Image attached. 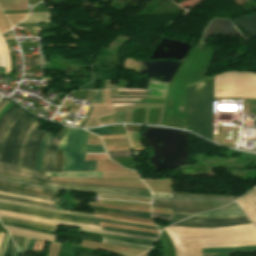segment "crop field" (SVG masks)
I'll return each instance as SVG.
<instances>
[{
  "instance_id": "8a807250",
  "label": "crop field",
  "mask_w": 256,
  "mask_h": 256,
  "mask_svg": "<svg viewBox=\"0 0 256 256\" xmlns=\"http://www.w3.org/2000/svg\"><path fill=\"white\" fill-rule=\"evenodd\" d=\"M173 242L176 256H201V248L256 245V227L253 224L220 228L165 229Z\"/></svg>"
},
{
  "instance_id": "ac0d7876",
  "label": "crop field",
  "mask_w": 256,
  "mask_h": 256,
  "mask_svg": "<svg viewBox=\"0 0 256 256\" xmlns=\"http://www.w3.org/2000/svg\"><path fill=\"white\" fill-rule=\"evenodd\" d=\"M214 76L187 86V126L212 141Z\"/></svg>"
},
{
  "instance_id": "34b2d1b8",
  "label": "crop field",
  "mask_w": 256,
  "mask_h": 256,
  "mask_svg": "<svg viewBox=\"0 0 256 256\" xmlns=\"http://www.w3.org/2000/svg\"><path fill=\"white\" fill-rule=\"evenodd\" d=\"M88 132L68 128L58 149L64 156L63 171H96V161H84L85 152H105L102 146L86 145Z\"/></svg>"
},
{
  "instance_id": "412701ff",
  "label": "crop field",
  "mask_w": 256,
  "mask_h": 256,
  "mask_svg": "<svg viewBox=\"0 0 256 256\" xmlns=\"http://www.w3.org/2000/svg\"><path fill=\"white\" fill-rule=\"evenodd\" d=\"M236 199L235 197L227 196L173 193L172 199H169L172 202L153 200V203L171 205L173 213L194 215L224 207Z\"/></svg>"
},
{
  "instance_id": "f4fd0767",
  "label": "crop field",
  "mask_w": 256,
  "mask_h": 256,
  "mask_svg": "<svg viewBox=\"0 0 256 256\" xmlns=\"http://www.w3.org/2000/svg\"><path fill=\"white\" fill-rule=\"evenodd\" d=\"M30 119L31 118L23 112L11 125L2 147L0 156L1 163L12 164L19 136Z\"/></svg>"
},
{
  "instance_id": "dd49c442",
  "label": "crop field",
  "mask_w": 256,
  "mask_h": 256,
  "mask_svg": "<svg viewBox=\"0 0 256 256\" xmlns=\"http://www.w3.org/2000/svg\"><path fill=\"white\" fill-rule=\"evenodd\" d=\"M0 216L8 217V218H14V219H20V220H24V221H29V222L49 226V227H56L58 223H61V224H66V225H71V226H81L80 230H82V231H89V232L102 233V234L120 235V236H126V237H133V238H140V239L156 241V239H154V238H148V237H141V236H134V235L104 231V230H102V227L48 220V219L37 218V217L17 214V213L8 212V211H1L0 210Z\"/></svg>"
},
{
  "instance_id": "e52e79f7",
  "label": "crop field",
  "mask_w": 256,
  "mask_h": 256,
  "mask_svg": "<svg viewBox=\"0 0 256 256\" xmlns=\"http://www.w3.org/2000/svg\"><path fill=\"white\" fill-rule=\"evenodd\" d=\"M249 223L251 222L247 219V217L225 219V220L190 217L173 226L189 227V228H219V227L235 226V225H242V224H249Z\"/></svg>"
},
{
  "instance_id": "d8731c3e",
  "label": "crop field",
  "mask_w": 256,
  "mask_h": 256,
  "mask_svg": "<svg viewBox=\"0 0 256 256\" xmlns=\"http://www.w3.org/2000/svg\"><path fill=\"white\" fill-rule=\"evenodd\" d=\"M39 127L40 125L38 123L28 139L21 167L31 168L33 170L35 168L40 142L46 133L45 131L40 130Z\"/></svg>"
},
{
  "instance_id": "5a996713",
  "label": "crop field",
  "mask_w": 256,
  "mask_h": 256,
  "mask_svg": "<svg viewBox=\"0 0 256 256\" xmlns=\"http://www.w3.org/2000/svg\"><path fill=\"white\" fill-rule=\"evenodd\" d=\"M0 175L1 176H7V177L24 179V180H28V181H32V182H36V183H42V184H47V185L57 186V187H65V188H73V189H84V190L111 191V192H121V193H128V194H137V195L151 196L149 191H137V190H127V189H114V188H95V187H85V186H78V185L46 183V182L39 181V180L23 178V177L9 175V174H5V173H0Z\"/></svg>"
},
{
  "instance_id": "3316defc",
  "label": "crop field",
  "mask_w": 256,
  "mask_h": 256,
  "mask_svg": "<svg viewBox=\"0 0 256 256\" xmlns=\"http://www.w3.org/2000/svg\"><path fill=\"white\" fill-rule=\"evenodd\" d=\"M0 205L9 206V207H15V208H19V209H23V210H28V211H33V212H38V213H42V214L60 216V217H65V218H73V219H82V220H91V221L107 222V223H113V224H119V225H125V226H133V227H140V228H147V229H155V230H158L157 228L146 227V226H140V225H135V224L123 223V222H117V221H112V220H107V219H101V218H88V217H81V216L68 215V214H61V213L45 212V211H40V210H36V209H31V208H26V207H21V206L6 204V203H0Z\"/></svg>"
},
{
  "instance_id": "28ad6ade",
  "label": "crop field",
  "mask_w": 256,
  "mask_h": 256,
  "mask_svg": "<svg viewBox=\"0 0 256 256\" xmlns=\"http://www.w3.org/2000/svg\"><path fill=\"white\" fill-rule=\"evenodd\" d=\"M236 203L256 225V190L254 189L247 195L241 197Z\"/></svg>"
},
{
  "instance_id": "d1516ede",
  "label": "crop field",
  "mask_w": 256,
  "mask_h": 256,
  "mask_svg": "<svg viewBox=\"0 0 256 256\" xmlns=\"http://www.w3.org/2000/svg\"><path fill=\"white\" fill-rule=\"evenodd\" d=\"M198 217H207V218H233V217H242L245 216L243 212L238 208V206L233 203L225 208H222L220 210L198 214L196 215Z\"/></svg>"
},
{
  "instance_id": "22f410ed",
  "label": "crop field",
  "mask_w": 256,
  "mask_h": 256,
  "mask_svg": "<svg viewBox=\"0 0 256 256\" xmlns=\"http://www.w3.org/2000/svg\"><path fill=\"white\" fill-rule=\"evenodd\" d=\"M5 227L10 233H13V234L23 235V236H28V237H33V238H38V239H43L48 241L54 240L53 235L40 233V232L27 230V229H22V228H17V227H10V226H5Z\"/></svg>"
},
{
  "instance_id": "cbeb9de0",
  "label": "crop field",
  "mask_w": 256,
  "mask_h": 256,
  "mask_svg": "<svg viewBox=\"0 0 256 256\" xmlns=\"http://www.w3.org/2000/svg\"><path fill=\"white\" fill-rule=\"evenodd\" d=\"M0 209L1 210H9V211L17 212V213L29 214V215L38 216V217L50 218V219H54V220L69 221V222H76V223H83V224L98 225V226H100V224L96 223V222L65 219V218H60V217H54V216H48V215H42V214H37V213H33V212L18 210V209L9 208V207L0 206Z\"/></svg>"
},
{
  "instance_id": "5142ce71",
  "label": "crop field",
  "mask_w": 256,
  "mask_h": 256,
  "mask_svg": "<svg viewBox=\"0 0 256 256\" xmlns=\"http://www.w3.org/2000/svg\"><path fill=\"white\" fill-rule=\"evenodd\" d=\"M0 66L5 68V73H10L11 59L3 35L0 36Z\"/></svg>"
},
{
  "instance_id": "d9b57169",
  "label": "crop field",
  "mask_w": 256,
  "mask_h": 256,
  "mask_svg": "<svg viewBox=\"0 0 256 256\" xmlns=\"http://www.w3.org/2000/svg\"><path fill=\"white\" fill-rule=\"evenodd\" d=\"M1 172L5 173H10V174H15L19 176H24V177H29V178H36L39 180L46 179L47 182H58V181H51L50 177H41V176H36V175H31V174H25V173H20V172H15V171H9V170H3L0 169ZM58 183H68V184H78V185H87V186H97V187H113V186H99V185H88V184H80V183H70V182H58ZM114 188H127V187H114ZM128 189H141V188H128ZM142 190H148V189H142Z\"/></svg>"
},
{
  "instance_id": "733c2abd",
  "label": "crop field",
  "mask_w": 256,
  "mask_h": 256,
  "mask_svg": "<svg viewBox=\"0 0 256 256\" xmlns=\"http://www.w3.org/2000/svg\"><path fill=\"white\" fill-rule=\"evenodd\" d=\"M60 138H61V136L56 135V137L54 138V140L52 141V143L49 147L48 159H47V165H46L45 171H53L55 155H56V150H57V144H58Z\"/></svg>"
},
{
  "instance_id": "4a817a6b",
  "label": "crop field",
  "mask_w": 256,
  "mask_h": 256,
  "mask_svg": "<svg viewBox=\"0 0 256 256\" xmlns=\"http://www.w3.org/2000/svg\"><path fill=\"white\" fill-rule=\"evenodd\" d=\"M0 202H6V203H11V204L26 206V207H31V208L45 210V211L61 212V213L84 215V216H92V217L96 216V215H93V214L74 212V211H67V210H59V209H51V208H44V207H40V206H36V205H32V204H26V203H20V202H12V201H6V200H1V199H0Z\"/></svg>"
},
{
  "instance_id": "bc2a9ffb",
  "label": "crop field",
  "mask_w": 256,
  "mask_h": 256,
  "mask_svg": "<svg viewBox=\"0 0 256 256\" xmlns=\"http://www.w3.org/2000/svg\"><path fill=\"white\" fill-rule=\"evenodd\" d=\"M90 209L104 210V211H108V212L119 213V214L129 215V216H133V217L151 219V213L121 211V210H113V209H109V208H98V207H90Z\"/></svg>"
},
{
  "instance_id": "214f88e0",
  "label": "crop field",
  "mask_w": 256,
  "mask_h": 256,
  "mask_svg": "<svg viewBox=\"0 0 256 256\" xmlns=\"http://www.w3.org/2000/svg\"><path fill=\"white\" fill-rule=\"evenodd\" d=\"M30 22H49V14L48 13L29 14L27 19L22 23H30Z\"/></svg>"
},
{
  "instance_id": "92a150f3",
  "label": "crop field",
  "mask_w": 256,
  "mask_h": 256,
  "mask_svg": "<svg viewBox=\"0 0 256 256\" xmlns=\"http://www.w3.org/2000/svg\"><path fill=\"white\" fill-rule=\"evenodd\" d=\"M100 235L102 237L108 238V239L129 241V242H133V243H137V244H143V245H149V246H153V244H154V242H152V241H145V240H139V239L125 238V237H117V236H110V235H102V234H100Z\"/></svg>"
},
{
  "instance_id": "dafd665d",
  "label": "crop field",
  "mask_w": 256,
  "mask_h": 256,
  "mask_svg": "<svg viewBox=\"0 0 256 256\" xmlns=\"http://www.w3.org/2000/svg\"><path fill=\"white\" fill-rule=\"evenodd\" d=\"M102 243L123 245V246L132 247V248H140V249H146V250H149L151 248L149 246L137 245V244H133V243H129V242L111 241V240H104V239H103Z\"/></svg>"
},
{
  "instance_id": "00972430",
  "label": "crop field",
  "mask_w": 256,
  "mask_h": 256,
  "mask_svg": "<svg viewBox=\"0 0 256 256\" xmlns=\"http://www.w3.org/2000/svg\"><path fill=\"white\" fill-rule=\"evenodd\" d=\"M103 229L111 230V231H116V232H123V233H130V234L154 237V238H157V236H158L156 234L145 233V232H140V231H133V230L115 229V228H107V227H103Z\"/></svg>"
},
{
  "instance_id": "a9b5d70f",
  "label": "crop field",
  "mask_w": 256,
  "mask_h": 256,
  "mask_svg": "<svg viewBox=\"0 0 256 256\" xmlns=\"http://www.w3.org/2000/svg\"><path fill=\"white\" fill-rule=\"evenodd\" d=\"M0 183L8 184V185H14V186H19V187H24V188H29V189H34V190H39V191H44V192H49V193H54V194H58L59 193L57 191L46 190V189L39 188V187H33V186H28V185H23V184L3 181V180H0Z\"/></svg>"
},
{
  "instance_id": "4177f3b9",
  "label": "crop field",
  "mask_w": 256,
  "mask_h": 256,
  "mask_svg": "<svg viewBox=\"0 0 256 256\" xmlns=\"http://www.w3.org/2000/svg\"><path fill=\"white\" fill-rule=\"evenodd\" d=\"M23 111L20 109L18 110L13 116L12 118L7 122L3 132H2V135H1V138H0V151H1V147H2V144H3V140H4V136L6 134V132L8 131L10 125L13 123V121L16 119V117L22 113Z\"/></svg>"
},
{
  "instance_id": "730fd06b",
  "label": "crop field",
  "mask_w": 256,
  "mask_h": 256,
  "mask_svg": "<svg viewBox=\"0 0 256 256\" xmlns=\"http://www.w3.org/2000/svg\"><path fill=\"white\" fill-rule=\"evenodd\" d=\"M0 190L18 193V194L27 195V196H32V197L41 198V199H47V200H53V201L58 200L57 198H54V197L42 196V195H37V194H32V193H27V192L13 191V190H8V189H4V188H0Z\"/></svg>"
},
{
  "instance_id": "eef30255",
  "label": "crop field",
  "mask_w": 256,
  "mask_h": 256,
  "mask_svg": "<svg viewBox=\"0 0 256 256\" xmlns=\"http://www.w3.org/2000/svg\"><path fill=\"white\" fill-rule=\"evenodd\" d=\"M0 219L4 220V221H10V222H15V223H20V224L28 225V226H32V227H36V228H40V229H44V230H52V231H56L57 230V229H54V228H49V227H45V226H41V225L29 223V222L16 221V220L2 218V217H0Z\"/></svg>"
},
{
  "instance_id": "ae1a2a85",
  "label": "crop field",
  "mask_w": 256,
  "mask_h": 256,
  "mask_svg": "<svg viewBox=\"0 0 256 256\" xmlns=\"http://www.w3.org/2000/svg\"><path fill=\"white\" fill-rule=\"evenodd\" d=\"M34 121H35V118H33V119L27 124L25 130H24L23 133L21 134V138H20V140H19V142H18V146H17V150H16V155H15L14 162H13L12 165H15V166H16V164H17V158H18V154H19V150H20V146H21V142H22V140H23V138H24V135H25L27 129L33 124Z\"/></svg>"
},
{
  "instance_id": "d3111659",
  "label": "crop field",
  "mask_w": 256,
  "mask_h": 256,
  "mask_svg": "<svg viewBox=\"0 0 256 256\" xmlns=\"http://www.w3.org/2000/svg\"><path fill=\"white\" fill-rule=\"evenodd\" d=\"M0 168L9 169V170H15V171H20V172H25V173H31V174H37V175H43L42 172H36V171L27 170V169H22V168L13 167V166H8V165H4V164H0Z\"/></svg>"
},
{
  "instance_id": "750c4746",
  "label": "crop field",
  "mask_w": 256,
  "mask_h": 256,
  "mask_svg": "<svg viewBox=\"0 0 256 256\" xmlns=\"http://www.w3.org/2000/svg\"><path fill=\"white\" fill-rule=\"evenodd\" d=\"M36 124H37V121H35L34 124L28 129V131H27V133H26V136H25V138H24V140H23V142H22L21 151H20V156H19V160H18V164H17V166H19V167H20V165H21L22 154H23V150H24L26 141H27V139H28L29 134L31 133V131L33 130V128L36 126Z\"/></svg>"
},
{
  "instance_id": "bd1437ed",
  "label": "crop field",
  "mask_w": 256,
  "mask_h": 256,
  "mask_svg": "<svg viewBox=\"0 0 256 256\" xmlns=\"http://www.w3.org/2000/svg\"><path fill=\"white\" fill-rule=\"evenodd\" d=\"M0 195L25 198V199H30V200H35V201H40V202H45V203H50V204L55 203L53 201L41 200V199H36V198H31V197H27V196H22V195H17V194H13V193H7V192H1V191H0Z\"/></svg>"
},
{
  "instance_id": "1d83c4d3",
  "label": "crop field",
  "mask_w": 256,
  "mask_h": 256,
  "mask_svg": "<svg viewBox=\"0 0 256 256\" xmlns=\"http://www.w3.org/2000/svg\"><path fill=\"white\" fill-rule=\"evenodd\" d=\"M0 198L1 199H6V200H13V201H20V202L37 204V205H43V206H48V207H53V208L56 207V206H52V205H48V204L38 203V202L29 201V200H25V199H19V198H11V197H5V196H0Z\"/></svg>"
},
{
  "instance_id": "120bbe31",
  "label": "crop field",
  "mask_w": 256,
  "mask_h": 256,
  "mask_svg": "<svg viewBox=\"0 0 256 256\" xmlns=\"http://www.w3.org/2000/svg\"><path fill=\"white\" fill-rule=\"evenodd\" d=\"M110 158L132 156L131 151L107 152Z\"/></svg>"
},
{
  "instance_id": "d32e631a",
  "label": "crop field",
  "mask_w": 256,
  "mask_h": 256,
  "mask_svg": "<svg viewBox=\"0 0 256 256\" xmlns=\"http://www.w3.org/2000/svg\"><path fill=\"white\" fill-rule=\"evenodd\" d=\"M89 131L97 134V135H106V134H112L110 126L100 128V129H90Z\"/></svg>"
},
{
  "instance_id": "5866460e",
  "label": "crop field",
  "mask_w": 256,
  "mask_h": 256,
  "mask_svg": "<svg viewBox=\"0 0 256 256\" xmlns=\"http://www.w3.org/2000/svg\"><path fill=\"white\" fill-rule=\"evenodd\" d=\"M1 222H2L3 224H5V225L17 226V227L32 229V230L41 231V232H45V233H50V234L56 235V232L44 231V230H40V229H36V228H32V227H28V226H24V225H20V224H15V223H9V222H4V221H1Z\"/></svg>"
},
{
  "instance_id": "028f5c9d",
  "label": "crop field",
  "mask_w": 256,
  "mask_h": 256,
  "mask_svg": "<svg viewBox=\"0 0 256 256\" xmlns=\"http://www.w3.org/2000/svg\"><path fill=\"white\" fill-rule=\"evenodd\" d=\"M49 135H50V134L46 133V135L44 136V138H43V140H42L35 170H39V167H40V160H41V154H42V151H43V147H44L45 141H46V139H47V137H48Z\"/></svg>"
},
{
  "instance_id": "e1f06a70",
  "label": "crop field",
  "mask_w": 256,
  "mask_h": 256,
  "mask_svg": "<svg viewBox=\"0 0 256 256\" xmlns=\"http://www.w3.org/2000/svg\"><path fill=\"white\" fill-rule=\"evenodd\" d=\"M25 66H38L41 65L40 58L24 59Z\"/></svg>"
},
{
  "instance_id": "0bd39190",
  "label": "crop field",
  "mask_w": 256,
  "mask_h": 256,
  "mask_svg": "<svg viewBox=\"0 0 256 256\" xmlns=\"http://www.w3.org/2000/svg\"><path fill=\"white\" fill-rule=\"evenodd\" d=\"M189 217L188 215H179V214H173L171 221L169 222V225L176 223L180 220H183L185 218Z\"/></svg>"
},
{
  "instance_id": "b80d0937",
  "label": "crop field",
  "mask_w": 256,
  "mask_h": 256,
  "mask_svg": "<svg viewBox=\"0 0 256 256\" xmlns=\"http://www.w3.org/2000/svg\"><path fill=\"white\" fill-rule=\"evenodd\" d=\"M172 215L153 213V219L169 221Z\"/></svg>"
},
{
  "instance_id": "c035e120",
  "label": "crop field",
  "mask_w": 256,
  "mask_h": 256,
  "mask_svg": "<svg viewBox=\"0 0 256 256\" xmlns=\"http://www.w3.org/2000/svg\"><path fill=\"white\" fill-rule=\"evenodd\" d=\"M3 178H7V177H3ZM7 179L23 181V180L13 179V178H7ZM23 182H28V181H23ZM28 183H32V182H28ZM33 184H35V183H33ZM37 185H40V184H37ZM41 186H45V185H41ZM45 187H49V186H45ZM51 188H56V187H51ZM61 189H64V188H61ZM66 190H73V189H66ZM79 191H82V190H79ZM87 192H97V191H87ZM99 193L121 194V193H111V192H99ZM125 195H128V194H125Z\"/></svg>"
},
{
  "instance_id": "c21b1889",
  "label": "crop field",
  "mask_w": 256,
  "mask_h": 256,
  "mask_svg": "<svg viewBox=\"0 0 256 256\" xmlns=\"http://www.w3.org/2000/svg\"><path fill=\"white\" fill-rule=\"evenodd\" d=\"M18 109H19V108L16 107V108L7 116V118L4 120L3 124H2L1 127H0V135H1V132H2V130H3V127H4L5 123L10 119V117H11Z\"/></svg>"
},
{
  "instance_id": "03da06ac",
  "label": "crop field",
  "mask_w": 256,
  "mask_h": 256,
  "mask_svg": "<svg viewBox=\"0 0 256 256\" xmlns=\"http://www.w3.org/2000/svg\"><path fill=\"white\" fill-rule=\"evenodd\" d=\"M153 196H159V197H167V198H171L172 194H168V193H163L161 194L160 192H152Z\"/></svg>"
},
{
  "instance_id": "b54c1fbb",
  "label": "crop field",
  "mask_w": 256,
  "mask_h": 256,
  "mask_svg": "<svg viewBox=\"0 0 256 256\" xmlns=\"http://www.w3.org/2000/svg\"><path fill=\"white\" fill-rule=\"evenodd\" d=\"M16 106H12V107H10L5 113H4V115L1 117V119H0V125H1V123L3 122V120L6 118V116L9 114V112L13 109V108H15Z\"/></svg>"
},
{
  "instance_id": "5d738f31",
  "label": "crop field",
  "mask_w": 256,
  "mask_h": 256,
  "mask_svg": "<svg viewBox=\"0 0 256 256\" xmlns=\"http://www.w3.org/2000/svg\"><path fill=\"white\" fill-rule=\"evenodd\" d=\"M101 91H95L93 101L100 102Z\"/></svg>"
},
{
  "instance_id": "d23c7cc5",
  "label": "crop field",
  "mask_w": 256,
  "mask_h": 256,
  "mask_svg": "<svg viewBox=\"0 0 256 256\" xmlns=\"http://www.w3.org/2000/svg\"><path fill=\"white\" fill-rule=\"evenodd\" d=\"M12 244H13V242H12V240L9 238L8 245H7L6 252H5V256H8Z\"/></svg>"
},
{
  "instance_id": "425ffa30",
  "label": "crop field",
  "mask_w": 256,
  "mask_h": 256,
  "mask_svg": "<svg viewBox=\"0 0 256 256\" xmlns=\"http://www.w3.org/2000/svg\"><path fill=\"white\" fill-rule=\"evenodd\" d=\"M29 240H30V239L26 238L25 244H24V247H23V250H22L21 254L26 251V248H27V245H28V243H29Z\"/></svg>"
},
{
  "instance_id": "25e5ab78",
  "label": "crop field",
  "mask_w": 256,
  "mask_h": 256,
  "mask_svg": "<svg viewBox=\"0 0 256 256\" xmlns=\"http://www.w3.org/2000/svg\"><path fill=\"white\" fill-rule=\"evenodd\" d=\"M34 241L33 239H31L30 243H29V246H28V250L27 251H30L33 249V245H34Z\"/></svg>"
},
{
  "instance_id": "73cf0c24",
  "label": "crop field",
  "mask_w": 256,
  "mask_h": 256,
  "mask_svg": "<svg viewBox=\"0 0 256 256\" xmlns=\"http://www.w3.org/2000/svg\"><path fill=\"white\" fill-rule=\"evenodd\" d=\"M118 91L145 92V90H128V89H118Z\"/></svg>"
},
{
  "instance_id": "89e229c0",
  "label": "crop field",
  "mask_w": 256,
  "mask_h": 256,
  "mask_svg": "<svg viewBox=\"0 0 256 256\" xmlns=\"http://www.w3.org/2000/svg\"><path fill=\"white\" fill-rule=\"evenodd\" d=\"M100 195H109V194H100ZM112 196H125V195H112ZM126 197H138V198H147V199H151L148 197H139V196H126Z\"/></svg>"
},
{
  "instance_id": "1f2cbd36",
  "label": "crop field",
  "mask_w": 256,
  "mask_h": 256,
  "mask_svg": "<svg viewBox=\"0 0 256 256\" xmlns=\"http://www.w3.org/2000/svg\"><path fill=\"white\" fill-rule=\"evenodd\" d=\"M52 139H53V137H51V139H50V141H49V143H48V146H47V148H46L43 170H44V168H45V160H46V155H47V149H48L49 144H50V142L52 141ZM43 170H42V171H43Z\"/></svg>"
},
{
  "instance_id": "dbb93151",
  "label": "crop field",
  "mask_w": 256,
  "mask_h": 256,
  "mask_svg": "<svg viewBox=\"0 0 256 256\" xmlns=\"http://www.w3.org/2000/svg\"><path fill=\"white\" fill-rule=\"evenodd\" d=\"M152 207L171 208L170 206H167V205H158V204H153Z\"/></svg>"
},
{
  "instance_id": "0fb4a251",
  "label": "crop field",
  "mask_w": 256,
  "mask_h": 256,
  "mask_svg": "<svg viewBox=\"0 0 256 256\" xmlns=\"http://www.w3.org/2000/svg\"><path fill=\"white\" fill-rule=\"evenodd\" d=\"M15 250H16V247H15V245L13 244V246H12V249H11V252H10L9 256H13V255H14V253H15Z\"/></svg>"
},
{
  "instance_id": "1d79db26",
  "label": "crop field",
  "mask_w": 256,
  "mask_h": 256,
  "mask_svg": "<svg viewBox=\"0 0 256 256\" xmlns=\"http://www.w3.org/2000/svg\"><path fill=\"white\" fill-rule=\"evenodd\" d=\"M51 136H52V135H51ZM51 136H50V137H51ZM50 137H49V138H50ZM48 140H49V139H48ZM48 140H47V142H46V144H45V147H46V145H47V143H48ZM44 151H45V148H44ZM44 151H43V155H42L40 170L42 169V165H43Z\"/></svg>"
},
{
  "instance_id": "9d1cf04e",
  "label": "crop field",
  "mask_w": 256,
  "mask_h": 256,
  "mask_svg": "<svg viewBox=\"0 0 256 256\" xmlns=\"http://www.w3.org/2000/svg\"><path fill=\"white\" fill-rule=\"evenodd\" d=\"M9 103V101H5L1 106H0V112L3 110V108Z\"/></svg>"
},
{
  "instance_id": "447ae74e",
  "label": "crop field",
  "mask_w": 256,
  "mask_h": 256,
  "mask_svg": "<svg viewBox=\"0 0 256 256\" xmlns=\"http://www.w3.org/2000/svg\"><path fill=\"white\" fill-rule=\"evenodd\" d=\"M0 179H2V178H0ZM3 180H7V179H3ZM8 181H11V180H8ZM13 182H17V181H13ZM18 183H23V182H18ZM23 184H28V183H23ZM28 185H32V184H28ZM34 186H36V185H34ZM46 189H49V188H46ZM51 190H55V189H51ZM57 191H59V190H57Z\"/></svg>"
},
{
  "instance_id": "0765c3eb",
  "label": "crop field",
  "mask_w": 256,
  "mask_h": 256,
  "mask_svg": "<svg viewBox=\"0 0 256 256\" xmlns=\"http://www.w3.org/2000/svg\"><path fill=\"white\" fill-rule=\"evenodd\" d=\"M114 107H118V106H124V105H134V104H111Z\"/></svg>"
},
{
  "instance_id": "db79e9e6",
  "label": "crop field",
  "mask_w": 256,
  "mask_h": 256,
  "mask_svg": "<svg viewBox=\"0 0 256 256\" xmlns=\"http://www.w3.org/2000/svg\"><path fill=\"white\" fill-rule=\"evenodd\" d=\"M8 237H9V235L7 236V239H6L5 243H4V249H3V252H2V255H1V256H3V253H4V251H5L6 244H7V241H8Z\"/></svg>"
},
{
  "instance_id": "7b73153f",
  "label": "crop field",
  "mask_w": 256,
  "mask_h": 256,
  "mask_svg": "<svg viewBox=\"0 0 256 256\" xmlns=\"http://www.w3.org/2000/svg\"><path fill=\"white\" fill-rule=\"evenodd\" d=\"M0 231H3V232L8 233V232L6 231V229H5L2 225H0Z\"/></svg>"
},
{
  "instance_id": "78b8030e",
  "label": "crop field",
  "mask_w": 256,
  "mask_h": 256,
  "mask_svg": "<svg viewBox=\"0 0 256 256\" xmlns=\"http://www.w3.org/2000/svg\"><path fill=\"white\" fill-rule=\"evenodd\" d=\"M6 235H7V234L4 235L3 243H4L5 239H6ZM3 243H2V246H1V251H0V253L2 252V249H3Z\"/></svg>"
},
{
  "instance_id": "0f1d7ab4",
  "label": "crop field",
  "mask_w": 256,
  "mask_h": 256,
  "mask_svg": "<svg viewBox=\"0 0 256 256\" xmlns=\"http://www.w3.org/2000/svg\"><path fill=\"white\" fill-rule=\"evenodd\" d=\"M3 235H4V234L0 233V246H1V242H2Z\"/></svg>"
},
{
  "instance_id": "e1d0b9f6",
  "label": "crop field",
  "mask_w": 256,
  "mask_h": 256,
  "mask_svg": "<svg viewBox=\"0 0 256 256\" xmlns=\"http://www.w3.org/2000/svg\"><path fill=\"white\" fill-rule=\"evenodd\" d=\"M18 239H19V237L15 236L14 241L16 244H18Z\"/></svg>"
},
{
  "instance_id": "ae633e8c",
  "label": "crop field",
  "mask_w": 256,
  "mask_h": 256,
  "mask_svg": "<svg viewBox=\"0 0 256 256\" xmlns=\"http://www.w3.org/2000/svg\"><path fill=\"white\" fill-rule=\"evenodd\" d=\"M43 65H47L46 58L42 59Z\"/></svg>"
},
{
  "instance_id": "d14b1444",
  "label": "crop field",
  "mask_w": 256,
  "mask_h": 256,
  "mask_svg": "<svg viewBox=\"0 0 256 256\" xmlns=\"http://www.w3.org/2000/svg\"><path fill=\"white\" fill-rule=\"evenodd\" d=\"M5 101V99L1 98L0 105Z\"/></svg>"
},
{
  "instance_id": "c39391a2",
  "label": "crop field",
  "mask_w": 256,
  "mask_h": 256,
  "mask_svg": "<svg viewBox=\"0 0 256 256\" xmlns=\"http://www.w3.org/2000/svg\"><path fill=\"white\" fill-rule=\"evenodd\" d=\"M86 154H106V153H86Z\"/></svg>"
},
{
  "instance_id": "ade564c9",
  "label": "crop field",
  "mask_w": 256,
  "mask_h": 256,
  "mask_svg": "<svg viewBox=\"0 0 256 256\" xmlns=\"http://www.w3.org/2000/svg\"><path fill=\"white\" fill-rule=\"evenodd\" d=\"M202 256H210V254H202Z\"/></svg>"
},
{
  "instance_id": "c5b07064",
  "label": "crop field",
  "mask_w": 256,
  "mask_h": 256,
  "mask_svg": "<svg viewBox=\"0 0 256 256\" xmlns=\"http://www.w3.org/2000/svg\"><path fill=\"white\" fill-rule=\"evenodd\" d=\"M211 256H218V254H211Z\"/></svg>"
},
{
  "instance_id": "c3a83c6f",
  "label": "crop field",
  "mask_w": 256,
  "mask_h": 256,
  "mask_svg": "<svg viewBox=\"0 0 256 256\" xmlns=\"http://www.w3.org/2000/svg\"><path fill=\"white\" fill-rule=\"evenodd\" d=\"M162 111H163V109H162ZM162 111H161V116H162ZM160 122H161V117H160ZM160 122H159V124H160Z\"/></svg>"
},
{
  "instance_id": "fb207236",
  "label": "crop field",
  "mask_w": 256,
  "mask_h": 256,
  "mask_svg": "<svg viewBox=\"0 0 256 256\" xmlns=\"http://www.w3.org/2000/svg\"><path fill=\"white\" fill-rule=\"evenodd\" d=\"M154 199H156V198H154ZM157 200H162V199H157ZM168 201V200H167Z\"/></svg>"
},
{
  "instance_id": "7312dd0a",
  "label": "crop field",
  "mask_w": 256,
  "mask_h": 256,
  "mask_svg": "<svg viewBox=\"0 0 256 256\" xmlns=\"http://www.w3.org/2000/svg\"><path fill=\"white\" fill-rule=\"evenodd\" d=\"M126 88H127V81H126Z\"/></svg>"
},
{
  "instance_id": "180be81f",
  "label": "crop field",
  "mask_w": 256,
  "mask_h": 256,
  "mask_svg": "<svg viewBox=\"0 0 256 256\" xmlns=\"http://www.w3.org/2000/svg\"><path fill=\"white\" fill-rule=\"evenodd\" d=\"M0 34H2L1 31H0Z\"/></svg>"
},
{
  "instance_id": "f0312440",
  "label": "crop field",
  "mask_w": 256,
  "mask_h": 256,
  "mask_svg": "<svg viewBox=\"0 0 256 256\" xmlns=\"http://www.w3.org/2000/svg\"><path fill=\"white\" fill-rule=\"evenodd\" d=\"M0 224H1V222H0Z\"/></svg>"
},
{
  "instance_id": "1f1604b0",
  "label": "crop field",
  "mask_w": 256,
  "mask_h": 256,
  "mask_svg": "<svg viewBox=\"0 0 256 256\" xmlns=\"http://www.w3.org/2000/svg\"><path fill=\"white\" fill-rule=\"evenodd\" d=\"M256 189V188H255Z\"/></svg>"
}]
</instances>
